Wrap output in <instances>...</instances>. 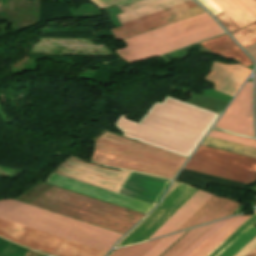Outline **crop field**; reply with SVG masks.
Listing matches in <instances>:
<instances>
[{
    "label": "crop field",
    "mask_w": 256,
    "mask_h": 256,
    "mask_svg": "<svg viewBox=\"0 0 256 256\" xmlns=\"http://www.w3.org/2000/svg\"><path fill=\"white\" fill-rule=\"evenodd\" d=\"M224 33L206 13L124 40L128 47L116 50L128 62L149 59Z\"/></svg>",
    "instance_id": "obj_1"
},
{
    "label": "crop field",
    "mask_w": 256,
    "mask_h": 256,
    "mask_svg": "<svg viewBox=\"0 0 256 256\" xmlns=\"http://www.w3.org/2000/svg\"><path fill=\"white\" fill-rule=\"evenodd\" d=\"M0 217L106 251L122 236L15 200L0 201Z\"/></svg>",
    "instance_id": "obj_2"
},
{
    "label": "crop field",
    "mask_w": 256,
    "mask_h": 256,
    "mask_svg": "<svg viewBox=\"0 0 256 256\" xmlns=\"http://www.w3.org/2000/svg\"><path fill=\"white\" fill-rule=\"evenodd\" d=\"M93 161L172 179L186 158L106 132L96 142Z\"/></svg>",
    "instance_id": "obj_3"
},
{
    "label": "crop field",
    "mask_w": 256,
    "mask_h": 256,
    "mask_svg": "<svg viewBox=\"0 0 256 256\" xmlns=\"http://www.w3.org/2000/svg\"><path fill=\"white\" fill-rule=\"evenodd\" d=\"M54 173L114 192L129 174L128 171L106 169L72 157L57 167ZM167 186L168 183L130 172L117 193L155 205Z\"/></svg>",
    "instance_id": "obj_4"
},
{
    "label": "crop field",
    "mask_w": 256,
    "mask_h": 256,
    "mask_svg": "<svg viewBox=\"0 0 256 256\" xmlns=\"http://www.w3.org/2000/svg\"><path fill=\"white\" fill-rule=\"evenodd\" d=\"M43 195L78 205L99 213L136 224L144 215L97 201L70 191L52 186ZM39 196L30 204L77 218L107 229L125 234L134 224L99 214L46 196Z\"/></svg>",
    "instance_id": "obj_5"
},
{
    "label": "crop field",
    "mask_w": 256,
    "mask_h": 256,
    "mask_svg": "<svg viewBox=\"0 0 256 256\" xmlns=\"http://www.w3.org/2000/svg\"><path fill=\"white\" fill-rule=\"evenodd\" d=\"M184 1L187 0H141L120 8L124 13L117 15V18L123 23ZM201 12L204 10L190 0L123 23V27L111 29V32L118 41Z\"/></svg>",
    "instance_id": "obj_6"
},
{
    "label": "crop field",
    "mask_w": 256,
    "mask_h": 256,
    "mask_svg": "<svg viewBox=\"0 0 256 256\" xmlns=\"http://www.w3.org/2000/svg\"><path fill=\"white\" fill-rule=\"evenodd\" d=\"M0 236L58 256H104L106 251L0 218Z\"/></svg>",
    "instance_id": "obj_7"
},
{
    "label": "crop field",
    "mask_w": 256,
    "mask_h": 256,
    "mask_svg": "<svg viewBox=\"0 0 256 256\" xmlns=\"http://www.w3.org/2000/svg\"><path fill=\"white\" fill-rule=\"evenodd\" d=\"M185 168L245 183L256 180V159L203 146Z\"/></svg>",
    "instance_id": "obj_8"
},
{
    "label": "crop field",
    "mask_w": 256,
    "mask_h": 256,
    "mask_svg": "<svg viewBox=\"0 0 256 256\" xmlns=\"http://www.w3.org/2000/svg\"><path fill=\"white\" fill-rule=\"evenodd\" d=\"M196 191L180 183L119 246L149 239Z\"/></svg>",
    "instance_id": "obj_9"
},
{
    "label": "crop field",
    "mask_w": 256,
    "mask_h": 256,
    "mask_svg": "<svg viewBox=\"0 0 256 256\" xmlns=\"http://www.w3.org/2000/svg\"><path fill=\"white\" fill-rule=\"evenodd\" d=\"M215 127L255 137L252 124V82H246Z\"/></svg>",
    "instance_id": "obj_10"
},
{
    "label": "crop field",
    "mask_w": 256,
    "mask_h": 256,
    "mask_svg": "<svg viewBox=\"0 0 256 256\" xmlns=\"http://www.w3.org/2000/svg\"><path fill=\"white\" fill-rule=\"evenodd\" d=\"M47 182L147 214L153 205L51 173Z\"/></svg>",
    "instance_id": "obj_11"
},
{
    "label": "crop field",
    "mask_w": 256,
    "mask_h": 256,
    "mask_svg": "<svg viewBox=\"0 0 256 256\" xmlns=\"http://www.w3.org/2000/svg\"><path fill=\"white\" fill-rule=\"evenodd\" d=\"M250 70L239 65L215 63L211 73L205 78L216 84V90L233 96Z\"/></svg>",
    "instance_id": "obj_12"
},
{
    "label": "crop field",
    "mask_w": 256,
    "mask_h": 256,
    "mask_svg": "<svg viewBox=\"0 0 256 256\" xmlns=\"http://www.w3.org/2000/svg\"><path fill=\"white\" fill-rule=\"evenodd\" d=\"M238 206L239 204L212 195L177 231L229 216Z\"/></svg>",
    "instance_id": "obj_13"
},
{
    "label": "crop field",
    "mask_w": 256,
    "mask_h": 256,
    "mask_svg": "<svg viewBox=\"0 0 256 256\" xmlns=\"http://www.w3.org/2000/svg\"><path fill=\"white\" fill-rule=\"evenodd\" d=\"M211 195L198 190L150 239L175 232Z\"/></svg>",
    "instance_id": "obj_14"
},
{
    "label": "crop field",
    "mask_w": 256,
    "mask_h": 256,
    "mask_svg": "<svg viewBox=\"0 0 256 256\" xmlns=\"http://www.w3.org/2000/svg\"><path fill=\"white\" fill-rule=\"evenodd\" d=\"M240 28L256 21L255 0H211Z\"/></svg>",
    "instance_id": "obj_15"
},
{
    "label": "crop field",
    "mask_w": 256,
    "mask_h": 256,
    "mask_svg": "<svg viewBox=\"0 0 256 256\" xmlns=\"http://www.w3.org/2000/svg\"><path fill=\"white\" fill-rule=\"evenodd\" d=\"M211 51L238 60L241 64L251 65V60L246 54L229 38L227 34L201 43Z\"/></svg>",
    "instance_id": "obj_16"
},
{
    "label": "crop field",
    "mask_w": 256,
    "mask_h": 256,
    "mask_svg": "<svg viewBox=\"0 0 256 256\" xmlns=\"http://www.w3.org/2000/svg\"><path fill=\"white\" fill-rule=\"evenodd\" d=\"M250 216L251 215H241L232 218L214 235H212L205 243H203L196 251H194L190 256H206L211 250H213L220 242H222L229 234H231Z\"/></svg>",
    "instance_id": "obj_17"
},
{
    "label": "crop field",
    "mask_w": 256,
    "mask_h": 256,
    "mask_svg": "<svg viewBox=\"0 0 256 256\" xmlns=\"http://www.w3.org/2000/svg\"><path fill=\"white\" fill-rule=\"evenodd\" d=\"M203 146L223 150V151H228L244 156H249L256 158V148L252 147H247L239 144H234L222 140H217L213 138L206 137L204 142L202 143Z\"/></svg>",
    "instance_id": "obj_18"
},
{
    "label": "crop field",
    "mask_w": 256,
    "mask_h": 256,
    "mask_svg": "<svg viewBox=\"0 0 256 256\" xmlns=\"http://www.w3.org/2000/svg\"><path fill=\"white\" fill-rule=\"evenodd\" d=\"M215 223H211L207 226L191 230L171 249H169L163 256H179L184 250H186L193 242H195L203 233H205Z\"/></svg>",
    "instance_id": "obj_19"
},
{
    "label": "crop field",
    "mask_w": 256,
    "mask_h": 256,
    "mask_svg": "<svg viewBox=\"0 0 256 256\" xmlns=\"http://www.w3.org/2000/svg\"><path fill=\"white\" fill-rule=\"evenodd\" d=\"M256 223V213L251 216L244 224H242L236 231H234L227 239H225L218 247H216L207 256H218L229 245H231L238 237H240L247 229Z\"/></svg>",
    "instance_id": "obj_20"
},
{
    "label": "crop field",
    "mask_w": 256,
    "mask_h": 256,
    "mask_svg": "<svg viewBox=\"0 0 256 256\" xmlns=\"http://www.w3.org/2000/svg\"><path fill=\"white\" fill-rule=\"evenodd\" d=\"M163 239V238H162ZM162 239H157L142 244L117 249L110 256H143Z\"/></svg>",
    "instance_id": "obj_21"
},
{
    "label": "crop field",
    "mask_w": 256,
    "mask_h": 256,
    "mask_svg": "<svg viewBox=\"0 0 256 256\" xmlns=\"http://www.w3.org/2000/svg\"><path fill=\"white\" fill-rule=\"evenodd\" d=\"M245 48L256 42V22L232 34Z\"/></svg>",
    "instance_id": "obj_22"
},
{
    "label": "crop field",
    "mask_w": 256,
    "mask_h": 256,
    "mask_svg": "<svg viewBox=\"0 0 256 256\" xmlns=\"http://www.w3.org/2000/svg\"><path fill=\"white\" fill-rule=\"evenodd\" d=\"M255 234H256V227L252 226L247 232H245L239 239H237L231 246H229L219 256H232L247 241H249Z\"/></svg>",
    "instance_id": "obj_23"
},
{
    "label": "crop field",
    "mask_w": 256,
    "mask_h": 256,
    "mask_svg": "<svg viewBox=\"0 0 256 256\" xmlns=\"http://www.w3.org/2000/svg\"><path fill=\"white\" fill-rule=\"evenodd\" d=\"M230 219L217 222L180 256H189L194 250H196L203 242H205L212 234H214L220 227H222Z\"/></svg>",
    "instance_id": "obj_24"
},
{
    "label": "crop field",
    "mask_w": 256,
    "mask_h": 256,
    "mask_svg": "<svg viewBox=\"0 0 256 256\" xmlns=\"http://www.w3.org/2000/svg\"><path fill=\"white\" fill-rule=\"evenodd\" d=\"M186 232L176 234L164 238L153 249H151L145 256H160L166 249H168L175 241H177Z\"/></svg>",
    "instance_id": "obj_25"
},
{
    "label": "crop field",
    "mask_w": 256,
    "mask_h": 256,
    "mask_svg": "<svg viewBox=\"0 0 256 256\" xmlns=\"http://www.w3.org/2000/svg\"><path fill=\"white\" fill-rule=\"evenodd\" d=\"M209 136L256 147V141H254V140H250V139H246V138H242V137H238V136H234V135H230V134H226V133H222V132H218V131H214V130H212V132L209 134Z\"/></svg>",
    "instance_id": "obj_26"
},
{
    "label": "crop field",
    "mask_w": 256,
    "mask_h": 256,
    "mask_svg": "<svg viewBox=\"0 0 256 256\" xmlns=\"http://www.w3.org/2000/svg\"><path fill=\"white\" fill-rule=\"evenodd\" d=\"M219 21L227 28V30L232 33L240 29L233 21H231L223 12L216 15Z\"/></svg>",
    "instance_id": "obj_27"
},
{
    "label": "crop field",
    "mask_w": 256,
    "mask_h": 256,
    "mask_svg": "<svg viewBox=\"0 0 256 256\" xmlns=\"http://www.w3.org/2000/svg\"><path fill=\"white\" fill-rule=\"evenodd\" d=\"M256 247V237L241 249L235 256H247Z\"/></svg>",
    "instance_id": "obj_28"
},
{
    "label": "crop field",
    "mask_w": 256,
    "mask_h": 256,
    "mask_svg": "<svg viewBox=\"0 0 256 256\" xmlns=\"http://www.w3.org/2000/svg\"><path fill=\"white\" fill-rule=\"evenodd\" d=\"M201 4H203L209 11H211L214 15L222 12L215 4H213L210 0H198Z\"/></svg>",
    "instance_id": "obj_29"
},
{
    "label": "crop field",
    "mask_w": 256,
    "mask_h": 256,
    "mask_svg": "<svg viewBox=\"0 0 256 256\" xmlns=\"http://www.w3.org/2000/svg\"><path fill=\"white\" fill-rule=\"evenodd\" d=\"M252 56L253 58L256 60V43L245 48Z\"/></svg>",
    "instance_id": "obj_30"
},
{
    "label": "crop field",
    "mask_w": 256,
    "mask_h": 256,
    "mask_svg": "<svg viewBox=\"0 0 256 256\" xmlns=\"http://www.w3.org/2000/svg\"><path fill=\"white\" fill-rule=\"evenodd\" d=\"M248 256H256V248Z\"/></svg>",
    "instance_id": "obj_31"
}]
</instances>
